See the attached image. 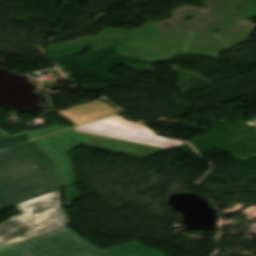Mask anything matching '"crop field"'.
I'll use <instances>...</instances> for the list:
<instances>
[{
    "instance_id": "obj_1",
    "label": "crop field",
    "mask_w": 256,
    "mask_h": 256,
    "mask_svg": "<svg viewBox=\"0 0 256 256\" xmlns=\"http://www.w3.org/2000/svg\"><path fill=\"white\" fill-rule=\"evenodd\" d=\"M58 189L50 160L32 141L0 150V210Z\"/></svg>"
},
{
    "instance_id": "obj_2",
    "label": "crop field",
    "mask_w": 256,
    "mask_h": 256,
    "mask_svg": "<svg viewBox=\"0 0 256 256\" xmlns=\"http://www.w3.org/2000/svg\"><path fill=\"white\" fill-rule=\"evenodd\" d=\"M34 142L53 159L62 188L77 182L71 159L65 152L80 144L141 158L167 150L72 130L34 140Z\"/></svg>"
},
{
    "instance_id": "obj_3",
    "label": "crop field",
    "mask_w": 256,
    "mask_h": 256,
    "mask_svg": "<svg viewBox=\"0 0 256 256\" xmlns=\"http://www.w3.org/2000/svg\"><path fill=\"white\" fill-rule=\"evenodd\" d=\"M19 244L33 256H107L68 228L28 239Z\"/></svg>"
},
{
    "instance_id": "obj_4",
    "label": "crop field",
    "mask_w": 256,
    "mask_h": 256,
    "mask_svg": "<svg viewBox=\"0 0 256 256\" xmlns=\"http://www.w3.org/2000/svg\"><path fill=\"white\" fill-rule=\"evenodd\" d=\"M135 122L127 121L121 116L111 117L105 120L87 124L72 130L87 132L91 134L122 139L151 146L171 149L185 142L174 138H163L147 129L144 124L140 126ZM186 144V143H185Z\"/></svg>"
},
{
    "instance_id": "obj_5",
    "label": "crop field",
    "mask_w": 256,
    "mask_h": 256,
    "mask_svg": "<svg viewBox=\"0 0 256 256\" xmlns=\"http://www.w3.org/2000/svg\"><path fill=\"white\" fill-rule=\"evenodd\" d=\"M68 224L67 212L64 209L58 211L38 227H35L20 214H17L0 224V245H9L32 238L63 228Z\"/></svg>"
},
{
    "instance_id": "obj_6",
    "label": "crop field",
    "mask_w": 256,
    "mask_h": 256,
    "mask_svg": "<svg viewBox=\"0 0 256 256\" xmlns=\"http://www.w3.org/2000/svg\"><path fill=\"white\" fill-rule=\"evenodd\" d=\"M35 226L61 209L60 190L31 199L13 207Z\"/></svg>"
},
{
    "instance_id": "obj_7",
    "label": "crop field",
    "mask_w": 256,
    "mask_h": 256,
    "mask_svg": "<svg viewBox=\"0 0 256 256\" xmlns=\"http://www.w3.org/2000/svg\"><path fill=\"white\" fill-rule=\"evenodd\" d=\"M116 113L112 107L97 100L58 111V114L77 125Z\"/></svg>"
},
{
    "instance_id": "obj_8",
    "label": "crop field",
    "mask_w": 256,
    "mask_h": 256,
    "mask_svg": "<svg viewBox=\"0 0 256 256\" xmlns=\"http://www.w3.org/2000/svg\"><path fill=\"white\" fill-rule=\"evenodd\" d=\"M110 256H139L150 251L137 241L128 242L115 247L104 249Z\"/></svg>"
},
{
    "instance_id": "obj_9",
    "label": "crop field",
    "mask_w": 256,
    "mask_h": 256,
    "mask_svg": "<svg viewBox=\"0 0 256 256\" xmlns=\"http://www.w3.org/2000/svg\"><path fill=\"white\" fill-rule=\"evenodd\" d=\"M0 256H30L16 244L0 250Z\"/></svg>"
},
{
    "instance_id": "obj_10",
    "label": "crop field",
    "mask_w": 256,
    "mask_h": 256,
    "mask_svg": "<svg viewBox=\"0 0 256 256\" xmlns=\"http://www.w3.org/2000/svg\"><path fill=\"white\" fill-rule=\"evenodd\" d=\"M29 133H25V134H21V135H18V136H14V137H10V138H7V139L0 140V148L6 147V146H9V145H13V144H16V143H19V142H23V141H26V140H30V138L28 137Z\"/></svg>"
},
{
    "instance_id": "obj_11",
    "label": "crop field",
    "mask_w": 256,
    "mask_h": 256,
    "mask_svg": "<svg viewBox=\"0 0 256 256\" xmlns=\"http://www.w3.org/2000/svg\"><path fill=\"white\" fill-rule=\"evenodd\" d=\"M65 129L64 127L57 125V126H53V127H49V128H45V129H41V130H37V131H33L30 135L31 139L33 138H37L49 133H53L59 130Z\"/></svg>"
},
{
    "instance_id": "obj_12",
    "label": "crop field",
    "mask_w": 256,
    "mask_h": 256,
    "mask_svg": "<svg viewBox=\"0 0 256 256\" xmlns=\"http://www.w3.org/2000/svg\"><path fill=\"white\" fill-rule=\"evenodd\" d=\"M141 256H165V255L157 250H152V251H150L146 254H143Z\"/></svg>"
},
{
    "instance_id": "obj_13",
    "label": "crop field",
    "mask_w": 256,
    "mask_h": 256,
    "mask_svg": "<svg viewBox=\"0 0 256 256\" xmlns=\"http://www.w3.org/2000/svg\"><path fill=\"white\" fill-rule=\"evenodd\" d=\"M2 248H5V247H0V249H2Z\"/></svg>"
}]
</instances>
